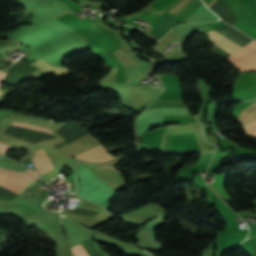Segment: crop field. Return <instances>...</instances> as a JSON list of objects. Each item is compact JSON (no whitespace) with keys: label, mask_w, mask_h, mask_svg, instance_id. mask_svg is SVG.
Listing matches in <instances>:
<instances>
[{"label":"crop field","mask_w":256,"mask_h":256,"mask_svg":"<svg viewBox=\"0 0 256 256\" xmlns=\"http://www.w3.org/2000/svg\"><path fill=\"white\" fill-rule=\"evenodd\" d=\"M38 177L39 176L31 170L19 173L0 168V185L16 193L25 189Z\"/></svg>","instance_id":"1"},{"label":"crop field","mask_w":256,"mask_h":256,"mask_svg":"<svg viewBox=\"0 0 256 256\" xmlns=\"http://www.w3.org/2000/svg\"><path fill=\"white\" fill-rule=\"evenodd\" d=\"M241 49L256 58V42L253 41ZM241 49L228 57V59L235 67L239 68L240 71H256V59Z\"/></svg>","instance_id":"2"},{"label":"crop field","mask_w":256,"mask_h":256,"mask_svg":"<svg viewBox=\"0 0 256 256\" xmlns=\"http://www.w3.org/2000/svg\"><path fill=\"white\" fill-rule=\"evenodd\" d=\"M75 157H77L83 161H89V162L107 161V160L115 158L106 152L103 145H100L96 148H93V149L86 151L82 154H79Z\"/></svg>","instance_id":"3"},{"label":"crop field","mask_w":256,"mask_h":256,"mask_svg":"<svg viewBox=\"0 0 256 256\" xmlns=\"http://www.w3.org/2000/svg\"><path fill=\"white\" fill-rule=\"evenodd\" d=\"M32 162L34 164L36 172L39 175L54 168L48 155L45 153L43 149L36 151V155L34 156Z\"/></svg>","instance_id":"4"},{"label":"crop field","mask_w":256,"mask_h":256,"mask_svg":"<svg viewBox=\"0 0 256 256\" xmlns=\"http://www.w3.org/2000/svg\"><path fill=\"white\" fill-rule=\"evenodd\" d=\"M11 125L53 135L50 129L44 128V127L34 126V125L20 123V122H16V121H13ZM13 148L14 147L0 143V152H2L4 154H6L9 149H13Z\"/></svg>","instance_id":"5"},{"label":"crop field","mask_w":256,"mask_h":256,"mask_svg":"<svg viewBox=\"0 0 256 256\" xmlns=\"http://www.w3.org/2000/svg\"><path fill=\"white\" fill-rule=\"evenodd\" d=\"M256 118V103L242 109L237 121L243 126Z\"/></svg>","instance_id":"6"},{"label":"crop field","mask_w":256,"mask_h":256,"mask_svg":"<svg viewBox=\"0 0 256 256\" xmlns=\"http://www.w3.org/2000/svg\"><path fill=\"white\" fill-rule=\"evenodd\" d=\"M32 64L40 67L47 74H72L66 67L53 68L41 59L33 62Z\"/></svg>","instance_id":"7"},{"label":"crop field","mask_w":256,"mask_h":256,"mask_svg":"<svg viewBox=\"0 0 256 256\" xmlns=\"http://www.w3.org/2000/svg\"><path fill=\"white\" fill-rule=\"evenodd\" d=\"M74 256H88L80 244L72 247Z\"/></svg>","instance_id":"8"},{"label":"crop field","mask_w":256,"mask_h":256,"mask_svg":"<svg viewBox=\"0 0 256 256\" xmlns=\"http://www.w3.org/2000/svg\"><path fill=\"white\" fill-rule=\"evenodd\" d=\"M171 135L169 132L164 134V139H163V146L162 150L166 151L168 150L169 142H170Z\"/></svg>","instance_id":"9"},{"label":"crop field","mask_w":256,"mask_h":256,"mask_svg":"<svg viewBox=\"0 0 256 256\" xmlns=\"http://www.w3.org/2000/svg\"><path fill=\"white\" fill-rule=\"evenodd\" d=\"M7 73H2L0 72V83L2 82V80L4 79V77L6 76ZM3 92L0 91V95L2 94Z\"/></svg>","instance_id":"10"},{"label":"crop field","mask_w":256,"mask_h":256,"mask_svg":"<svg viewBox=\"0 0 256 256\" xmlns=\"http://www.w3.org/2000/svg\"><path fill=\"white\" fill-rule=\"evenodd\" d=\"M216 0H214L211 4L208 5V7H210Z\"/></svg>","instance_id":"11"},{"label":"crop field","mask_w":256,"mask_h":256,"mask_svg":"<svg viewBox=\"0 0 256 256\" xmlns=\"http://www.w3.org/2000/svg\"><path fill=\"white\" fill-rule=\"evenodd\" d=\"M254 122H256V120H254Z\"/></svg>","instance_id":"12"}]
</instances>
